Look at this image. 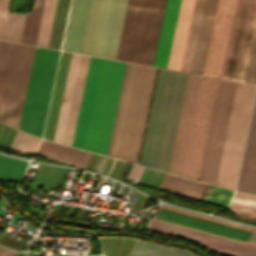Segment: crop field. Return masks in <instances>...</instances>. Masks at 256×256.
<instances>
[{
    "mask_svg": "<svg viewBox=\"0 0 256 256\" xmlns=\"http://www.w3.org/2000/svg\"><path fill=\"white\" fill-rule=\"evenodd\" d=\"M11 0H0V38L21 40L26 14L8 13Z\"/></svg>",
    "mask_w": 256,
    "mask_h": 256,
    "instance_id": "16",
    "label": "crop field"
},
{
    "mask_svg": "<svg viewBox=\"0 0 256 256\" xmlns=\"http://www.w3.org/2000/svg\"><path fill=\"white\" fill-rule=\"evenodd\" d=\"M43 5L44 0H34L32 12L26 16L21 42L35 45Z\"/></svg>",
    "mask_w": 256,
    "mask_h": 256,
    "instance_id": "20",
    "label": "crop field"
},
{
    "mask_svg": "<svg viewBox=\"0 0 256 256\" xmlns=\"http://www.w3.org/2000/svg\"><path fill=\"white\" fill-rule=\"evenodd\" d=\"M236 190L256 193V98Z\"/></svg>",
    "mask_w": 256,
    "mask_h": 256,
    "instance_id": "15",
    "label": "crop field"
},
{
    "mask_svg": "<svg viewBox=\"0 0 256 256\" xmlns=\"http://www.w3.org/2000/svg\"><path fill=\"white\" fill-rule=\"evenodd\" d=\"M128 65V63H127ZM127 65L125 69V74L127 70ZM157 68L131 64L128 65V70L124 74V79L122 83L121 93L119 97L118 107L116 111L115 121L113 125L112 135L110 139L108 153L110 157L133 161L137 164L139 152L141 148L146 118L148 114L153 84L155 80Z\"/></svg>",
    "mask_w": 256,
    "mask_h": 256,
    "instance_id": "5",
    "label": "crop field"
},
{
    "mask_svg": "<svg viewBox=\"0 0 256 256\" xmlns=\"http://www.w3.org/2000/svg\"><path fill=\"white\" fill-rule=\"evenodd\" d=\"M232 193L233 191L210 185L203 198V201L219 204L225 207Z\"/></svg>",
    "mask_w": 256,
    "mask_h": 256,
    "instance_id": "26",
    "label": "crop field"
},
{
    "mask_svg": "<svg viewBox=\"0 0 256 256\" xmlns=\"http://www.w3.org/2000/svg\"><path fill=\"white\" fill-rule=\"evenodd\" d=\"M129 256H195V255L185 250L136 241Z\"/></svg>",
    "mask_w": 256,
    "mask_h": 256,
    "instance_id": "19",
    "label": "crop field"
},
{
    "mask_svg": "<svg viewBox=\"0 0 256 256\" xmlns=\"http://www.w3.org/2000/svg\"><path fill=\"white\" fill-rule=\"evenodd\" d=\"M24 256H30V255H27V253H25V255ZM32 256V255H31Z\"/></svg>",
    "mask_w": 256,
    "mask_h": 256,
    "instance_id": "35",
    "label": "crop field"
},
{
    "mask_svg": "<svg viewBox=\"0 0 256 256\" xmlns=\"http://www.w3.org/2000/svg\"><path fill=\"white\" fill-rule=\"evenodd\" d=\"M195 0H166L153 66L166 68L175 28L173 43L167 68L180 71L186 45L193 5Z\"/></svg>",
    "mask_w": 256,
    "mask_h": 256,
    "instance_id": "12",
    "label": "crop field"
},
{
    "mask_svg": "<svg viewBox=\"0 0 256 256\" xmlns=\"http://www.w3.org/2000/svg\"><path fill=\"white\" fill-rule=\"evenodd\" d=\"M59 51L36 47L18 128L41 138Z\"/></svg>",
    "mask_w": 256,
    "mask_h": 256,
    "instance_id": "9",
    "label": "crop field"
},
{
    "mask_svg": "<svg viewBox=\"0 0 256 256\" xmlns=\"http://www.w3.org/2000/svg\"><path fill=\"white\" fill-rule=\"evenodd\" d=\"M57 0H46L36 45L47 47Z\"/></svg>",
    "mask_w": 256,
    "mask_h": 256,
    "instance_id": "22",
    "label": "crop field"
},
{
    "mask_svg": "<svg viewBox=\"0 0 256 256\" xmlns=\"http://www.w3.org/2000/svg\"><path fill=\"white\" fill-rule=\"evenodd\" d=\"M137 168H138V166H136V165L133 166V168H132V170H131V172H130L128 178H130V179L133 178V176H134V174H135Z\"/></svg>",
    "mask_w": 256,
    "mask_h": 256,
    "instance_id": "33",
    "label": "crop field"
},
{
    "mask_svg": "<svg viewBox=\"0 0 256 256\" xmlns=\"http://www.w3.org/2000/svg\"><path fill=\"white\" fill-rule=\"evenodd\" d=\"M218 0H205L190 72L203 73ZM237 0H219L203 75L221 76Z\"/></svg>",
    "mask_w": 256,
    "mask_h": 256,
    "instance_id": "8",
    "label": "crop field"
},
{
    "mask_svg": "<svg viewBox=\"0 0 256 256\" xmlns=\"http://www.w3.org/2000/svg\"><path fill=\"white\" fill-rule=\"evenodd\" d=\"M204 0H196L181 71L189 72Z\"/></svg>",
    "mask_w": 256,
    "mask_h": 256,
    "instance_id": "18",
    "label": "crop field"
},
{
    "mask_svg": "<svg viewBox=\"0 0 256 256\" xmlns=\"http://www.w3.org/2000/svg\"><path fill=\"white\" fill-rule=\"evenodd\" d=\"M256 29V0H238L221 78L244 82Z\"/></svg>",
    "mask_w": 256,
    "mask_h": 256,
    "instance_id": "13",
    "label": "crop field"
},
{
    "mask_svg": "<svg viewBox=\"0 0 256 256\" xmlns=\"http://www.w3.org/2000/svg\"><path fill=\"white\" fill-rule=\"evenodd\" d=\"M40 139L18 131L10 149L32 154L34 153Z\"/></svg>",
    "mask_w": 256,
    "mask_h": 256,
    "instance_id": "25",
    "label": "crop field"
},
{
    "mask_svg": "<svg viewBox=\"0 0 256 256\" xmlns=\"http://www.w3.org/2000/svg\"><path fill=\"white\" fill-rule=\"evenodd\" d=\"M35 47L8 44L0 82V121L17 128Z\"/></svg>",
    "mask_w": 256,
    "mask_h": 256,
    "instance_id": "11",
    "label": "crop field"
},
{
    "mask_svg": "<svg viewBox=\"0 0 256 256\" xmlns=\"http://www.w3.org/2000/svg\"><path fill=\"white\" fill-rule=\"evenodd\" d=\"M236 83L221 80L200 181L215 183Z\"/></svg>",
    "mask_w": 256,
    "mask_h": 256,
    "instance_id": "14",
    "label": "crop field"
},
{
    "mask_svg": "<svg viewBox=\"0 0 256 256\" xmlns=\"http://www.w3.org/2000/svg\"><path fill=\"white\" fill-rule=\"evenodd\" d=\"M15 252L0 247V256H14Z\"/></svg>",
    "mask_w": 256,
    "mask_h": 256,
    "instance_id": "30",
    "label": "crop field"
},
{
    "mask_svg": "<svg viewBox=\"0 0 256 256\" xmlns=\"http://www.w3.org/2000/svg\"><path fill=\"white\" fill-rule=\"evenodd\" d=\"M219 82L189 74L169 173L199 178Z\"/></svg>",
    "mask_w": 256,
    "mask_h": 256,
    "instance_id": "2",
    "label": "crop field"
},
{
    "mask_svg": "<svg viewBox=\"0 0 256 256\" xmlns=\"http://www.w3.org/2000/svg\"><path fill=\"white\" fill-rule=\"evenodd\" d=\"M164 177L169 178V179H173V180H176V181L184 182V183H187V184H191V185H194V186L202 187V188H204V186H205V183H201V182L196 183V182H194V180L182 178V177L167 174V173L165 174Z\"/></svg>",
    "mask_w": 256,
    "mask_h": 256,
    "instance_id": "28",
    "label": "crop field"
},
{
    "mask_svg": "<svg viewBox=\"0 0 256 256\" xmlns=\"http://www.w3.org/2000/svg\"><path fill=\"white\" fill-rule=\"evenodd\" d=\"M36 154L79 167L86 151L43 140Z\"/></svg>",
    "mask_w": 256,
    "mask_h": 256,
    "instance_id": "17",
    "label": "crop field"
},
{
    "mask_svg": "<svg viewBox=\"0 0 256 256\" xmlns=\"http://www.w3.org/2000/svg\"><path fill=\"white\" fill-rule=\"evenodd\" d=\"M253 83H255V84H256V72H255V77H254V81H253Z\"/></svg>",
    "mask_w": 256,
    "mask_h": 256,
    "instance_id": "34",
    "label": "crop field"
},
{
    "mask_svg": "<svg viewBox=\"0 0 256 256\" xmlns=\"http://www.w3.org/2000/svg\"><path fill=\"white\" fill-rule=\"evenodd\" d=\"M89 56L72 53L53 141L71 144ZM102 59L91 57L71 146L82 149ZM126 63L103 59L83 149L107 153Z\"/></svg>",
    "mask_w": 256,
    "mask_h": 256,
    "instance_id": "1",
    "label": "crop field"
},
{
    "mask_svg": "<svg viewBox=\"0 0 256 256\" xmlns=\"http://www.w3.org/2000/svg\"><path fill=\"white\" fill-rule=\"evenodd\" d=\"M143 169H144L143 167L139 166V168H138V170H137V172H136V174H135V176H134V178L132 180L133 183H137L138 182Z\"/></svg>",
    "mask_w": 256,
    "mask_h": 256,
    "instance_id": "31",
    "label": "crop field"
},
{
    "mask_svg": "<svg viewBox=\"0 0 256 256\" xmlns=\"http://www.w3.org/2000/svg\"><path fill=\"white\" fill-rule=\"evenodd\" d=\"M91 0H72L62 49L80 53ZM127 0H92L81 53L115 59Z\"/></svg>",
    "mask_w": 256,
    "mask_h": 256,
    "instance_id": "4",
    "label": "crop field"
},
{
    "mask_svg": "<svg viewBox=\"0 0 256 256\" xmlns=\"http://www.w3.org/2000/svg\"><path fill=\"white\" fill-rule=\"evenodd\" d=\"M187 76L159 69L139 164L167 172Z\"/></svg>",
    "mask_w": 256,
    "mask_h": 256,
    "instance_id": "6",
    "label": "crop field"
},
{
    "mask_svg": "<svg viewBox=\"0 0 256 256\" xmlns=\"http://www.w3.org/2000/svg\"><path fill=\"white\" fill-rule=\"evenodd\" d=\"M165 0H128L116 59L152 66Z\"/></svg>",
    "mask_w": 256,
    "mask_h": 256,
    "instance_id": "7",
    "label": "crop field"
},
{
    "mask_svg": "<svg viewBox=\"0 0 256 256\" xmlns=\"http://www.w3.org/2000/svg\"><path fill=\"white\" fill-rule=\"evenodd\" d=\"M256 86L237 83L215 185L235 188Z\"/></svg>",
    "mask_w": 256,
    "mask_h": 256,
    "instance_id": "10",
    "label": "crop field"
},
{
    "mask_svg": "<svg viewBox=\"0 0 256 256\" xmlns=\"http://www.w3.org/2000/svg\"><path fill=\"white\" fill-rule=\"evenodd\" d=\"M255 67H256V34H255V39H254V43H253V48H252V52H251V57H250V62H249L245 82L252 83L254 72H255Z\"/></svg>",
    "mask_w": 256,
    "mask_h": 256,
    "instance_id": "27",
    "label": "crop field"
},
{
    "mask_svg": "<svg viewBox=\"0 0 256 256\" xmlns=\"http://www.w3.org/2000/svg\"><path fill=\"white\" fill-rule=\"evenodd\" d=\"M210 217L161 205L152 220L256 246V228ZM154 221L148 230L187 239L226 256H256L255 246Z\"/></svg>",
    "mask_w": 256,
    "mask_h": 256,
    "instance_id": "3",
    "label": "crop field"
},
{
    "mask_svg": "<svg viewBox=\"0 0 256 256\" xmlns=\"http://www.w3.org/2000/svg\"><path fill=\"white\" fill-rule=\"evenodd\" d=\"M7 44L8 42L0 41V78H1L2 68H3L4 58L6 54Z\"/></svg>",
    "mask_w": 256,
    "mask_h": 256,
    "instance_id": "29",
    "label": "crop field"
},
{
    "mask_svg": "<svg viewBox=\"0 0 256 256\" xmlns=\"http://www.w3.org/2000/svg\"><path fill=\"white\" fill-rule=\"evenodd\" d=\"M160 189L168 190L171 192L179 193L193 198H199L202 188L194 187L191 185L183 184L169 179H163Z\"/></svg>",
    "mask_w": 256,
    "mask_h": 256,
    "instance_id": "24",
    "label": "crop field"
},
{
    "mask_svg": "<svg viewBox=\"0 0 256 256\" xmlns=\"http://www.w3.org/2000/svg\"><path fill=\"white\" fill-rule=\"evenodd\" d=\"M228 208L233 213L256 216V195L235 192Z\"/></svg>",
    "mask_w": 256,
    "mask_h": 256,
    "instance_id": "23",
    "label": "crop field"
},
{
    "mask_svg": "<svg viewBox=\"0 0 256 256\" xmlns=\"http://www.w3.org/2000/svg\"><path fill=\"white\" fill-rule=\"evenodd\" d=\"M27 163L0 155V179L19 183Z\"/></svg>",
    "mask_w": 256,
    "mask_h": 256,
    "instance_id": "21",
    "label": "crop field"
},
{
    "mask_svg": "<svg viewBox=\"0 0 256 256\" xmlns=\"http://www.w3.org/2000/svg\"><path fill=\"white\" fill-rule=\"evenodd\" d=\"M91 155H92L91 153H89V152L87 153V155H86V157H85V159H84V161H83L81 167H83V168L86 167V165H87V163H88V161H89Z\"/></svg>",
    "mask_w": 256,
    "mask_h": 256,
    "instance_id": "32",
    "label": "crop field"
}]
</instances>
